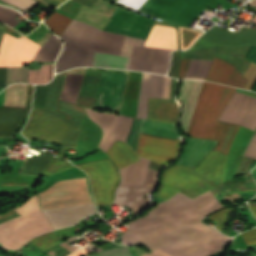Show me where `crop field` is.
I'll return each mask as SVG.
<instances>
[{"instance_id": "5142ce71", "label": "crop field", "mask_w": 256, "mask_h": 256, "mask_svg": "<svg viewBox=\"0 0 256 256\" xmlns=\"http://www.w3.org/2000/svg\"><path fill=\"white\" fill-rule=\"evenodd\" d=\"M66 72L56 75L54 80L48 85L44 108L80 127L85 115L84 108L59 100Z\"/></svg>"}, {"instance_id": "d32e631a", "label": "crop field", "mask_w": 256, "mask_h": 256, "mask_svg": "<svg viewBox=\"0 0 256 256\" xmlns=\"http://www.w3.org/2000/svg\"><path fill=\"white\" fill-rule=\"evenodd\" d=\"M62 48L61 40L52 34L50 39L40 49L34 61L53 62L56 61Z\"/></svg>"}, {"instance_id": "4a817a6b", "label": "crop field", "mask_w": 256, "mask_h": 256, "mask_svg": "<svg viewBox=\"0 0 256 256\" xmlns=\"http://www.w3.org/2000/svg\"><path fill=\"white\" fill-rule=\"evenodd\" d=\"M171 78L165 77L163 98L168 99ZM177 80L172 79L169 100L148 98L147 119L177 123L178 104L174 100Z\"/></svg>"}, {"instance_id": "120bbe31", "label": "crop field", "mask_w": 256, "mask_h": 256, "mask_svg": "<svg viewBox=\"0 0 256 256\" xmlns=\"http://www.w3.org/2000/svg\"><path fill=\"white\" fill-rule=\"evenodd\" d=\"M103 69L87 68L82 84V96L96 98Z\"/></svg>"}, {"instance_id": "92a150f3", "label": "crop field", "mask_w": 256, "mask_h": 256, "mask_svg": "<svg viewBox=\"0 0 256 256\" xmlns=\"http://www.w3.org/2000/svg\"><path fill=\"white\" fill-rule=\"evenodd\" d=\"M33 85H28L26 109L0 108V137L12 138L23 118L27 117L32 101Z\"/></svg>"}, {"instance_id": "78b8030e", "label": "crop field", "mask_w": 256, "mask_h": 256, "mask_svg": "<svg viewBox=\"0 0 256 256\" xmlns=\"http://www.w3.org/2000/svg\"><path fill=\"white\" fill-rule=\"evenodd\" d=\"M142 256H170V255L166 254L165 252H163V251H161L160 249L157 248L151 254H146V255H142Z\"/></svg>"}, {"instance_id": "0bd39190", "label": "crop field", "mask_w": 256, "mask_h": 256, "mask_svg": "<svg viewBox=\"0 0 256 256\" xmlns=\"http://www.w3.org/2000/svg\"><path fill=\"white\" fill-rule=\"evenodd\" d=\"M85 110H86L89 118L92 119L95 123H97L103 130V138L100 143V145H101L103 140L107 136L108 132L110 131L113 123L115 122L117 116L108 114V113L96 112V111H93L91 109H86V108H85ZM100 145H99V147H100Z\"/></svg>"}, {"instance_id": "c5b07064", "label": "crop field", "mask_w": 256, "mask_h": 256, "mask_svg": "<svg viewBox=\"0 0 256 256\" xmlns=\"http://www.w3.org/2000/svg\"><path fill=\"white\" fill-rule=\"evenodd\" d=\"M252 22L256 23V17H254V18L252 19Z\"/></svg>"}, {"instance_id": "028f5c9d", "label": "crop field", "mask_w": 256, "mask_h": 256, "mask_svg": "<svg viewBox=\"0 0 256 256\" xmlns=\"http://www.w3.org/2000/svg\"><path fill=\"white\" fill-rule=\"evenodd\" d=\"M83 75H67L64 83L61 100L71 103L77 102L78 92Z\"/></svg>"}, {"instance_id": "22f410ed", "label": "crop field", "mask_w": 256, "mask_h": 256, "mask_svg": "<svg viewBox=\"0 0 256 256\" xmlns=\"http://www.w3.org/2000/svg\"><path fill=\"white\" fill-rule=\"evenodd\" d=\"M154 23L155 20L117 6L105 30L146 39Z\"/></svg>"}, {"instance_id": "28ad6ade", "label": "crop field", "mask_w": 256, "mask_h": 256, "mask_svg": "<svg viewBox=\"0 0 256 256\" xmlns=\"http://www.w3.org/2000/svg\"><path fill=\"white\" fill-rule=\"evenodd\" d=\"M39 200L41 209L92 203L86 183L52 187Z\"/></svg>"}, {"instance_id": "7b73153f", "label": "crop field", "mask_w": 256, "mask_h": 256, "mask_svg": "<svg viewBox=\"0 0 256 256\" xmlns=\"http://www.w3.org/2000/svg\"><path fill=\"white\" fill-rule=\"evenodd\" d=\"M6 83V67L0 68V88H5Z\"/></svg>"}, {"instance_id": "cbeb9de0", "label": "crop field", "mask_w": 256, "mask_h": 256, "mask_svg": "<svg viewBox=\"0 0 256 256\" xmlns=\"http://www.w3.org/2000/svg\"><path fill=\"white\" fill-rule=\"evenodd\" d=\"M128 72L104 69L95 106L119 110Z\"/></svg>"}, {"instance_id": "d3111659", "label": "crop field", "mask_w": 256, "mask_h": 256, "mask_svg": "<svg viewBox=\"0 0 256 256\" xmlns=\"http://www.w3.org/2000/svg\"><path fill=\"white\" fill-rule=\"evenodd\" d=\"M132 120L133 118L119 115L101 148L107 152L116 139L125 142L131 128Z\"/></svg>"}, {"instance_id": "db79e9e6", "label": "crop field", "mask_w": 256, "mask_h": 256, "mask_svg": "<svg viewBox=\"0 0 256 256\" xmlns=\"http://www.w3.org/2000/svg\"><path fill=\"white\" fill-rule=\"evenodd\" d=\"M95 100L94 98H88V97H79L78 104L88 106V107H94Z\"/></svg>"}, {"instance_id": "1f2cbd36", "label": "crop field", "mask_w": 256, "mask_h": 256, "mask_svg": "<svg viewBox=\"0 0 256 256\" xmlns=\"http://www.w3.org/2000/svg\"><path fill=\"white\" fill-rule=\"evenodd\" d=\"M92 256H131V254L128 248L121 247L110 249L108 251L98 253Z\"/></svg>"}, {"instance_id": "34b2d1b8", "label": "crop field", "mask_w": 256, "mask_h": 256, "mask_svg": "<svg viewBox=\"0 0 256 256\" xmlns=\"http://www.w3.org/2000/svg\"><path fill=\"white\" fill-rule=\"evenodd\" d=\"M234 91L235 88L204 81L187 135L219 140L215 150L227 154L239 126L216 120Z\"/></svg>"}, {"instance_id": "5a996713", "label": "crop field", "mask_w": 256, "mask_h": 256, "mask_svg": "<svg viewBox=\"0 0 256 256\" xmlns=\"http://www.w3.org/2000/svg\"><path fill=\"white\" fill-rule=\"evenodd\" d=\"M77 166L88 174L96 204L110 205L113 200V190L119 179L114 164L106 159L77 164Z\"/></svg>"}, {"instance_id": "0f1d7ab4", "label": "crop field", "mask_w": 256, "mask_h": 256, "mask_svg": "<svg viewBox=\"0 0 256 256\" xmlns=\"http://www.w3.org/2000/svg\"><path fill=\"white\" fill-rule=\"evenodd\" d=\"M86 6L93 8L97 0H74Z\"/></svg>"}, {"instance_id": "5d738f31", "label": "crop field", "mask_w": 256, "mask_h": 256, "mask_svg": "<svg viewBox=\"0 0 256 256\" xmlns=\"http://www.w3.org/2000/svg\"><path fill=\"white\" fill-rule=\"evenodd\" d=\"M30 242H32L44 251L54 247L56 244L59 243L53 232L34 238Z\"/></svg>"}, {"instance_id": "73cf0c24", "label": "crop field", "mask_w": 256, "mask_h": 256, "mask_svg": "<svg viewBox=\"0 0 256 256\" xmlns=\"http://www.w3.org/2000/svg\"><path fill=\"white\" fill-rule=\"evenodd\" d=\"M144 42L143 39H137L132 37H125L122 50H121V56H129L131 55L133 44L142 45Z\"/></svg>"}, {"instance_id": "f4fd0767", "label": "crop field", "mask_w": 256, "mask_h": 256, "mask_svg": "<svg viewBox=\"0 0 256 256\" xmlns=\"http://www.w3.org/2000/svg\"><path fill=\"white\" fill-rule=\"evenodd\" d=\"M100 33L101 30L73 19L60 36L65 46L57 61L56 72L77 66H91Z\"/></svg>"}, {"instance_id": "00972430", "label": "crop field", "mask_w": 256, "mask_h": 256, "mask_svg": "<svg viewBox=\"0 0 256 256\" xmlns=\"http://www.w3.org/2000/svg\"><path fill=\"white\" fill-rule=\"evenodd\" d=\"M202 82L203 81L182 80L179 98L184 103V109L180 118V129L185 135L188 131Z\"/></svg>"}, {"instance_id": "4177f3b9", "label": "crop field", "mask_w": 256, "mask_h": 256, "mask_svg": "<svg viewBox=\"0 0 256 256\" xmlns=\"http://www.w3.org/2000/svg\"><path fill=\"white\" fill-rule=\"evenodd\" d=\"M205 80L228 84L240 88H243L248 81L231 65L216 58L214 59Z\"/></svg>"}, {"instance_id": "c39391a2", "label": "crop field", "mask_w": 256, "mask_h": 256, "mask_svg": "<svg viewBox=\"0 0 256 256\" xmlns=\"http://www.w3.org/2000/svg\"><path fill=\"white\" fill-rule=\"evenodd\" d=\"M248 4H250V5H252L253 7H255V8H256V0L251 1V2H250V3H248Z\"/></svg>"}, {"instance_id": "5866460e", "label": "crop field", "mask_w": 256, "mask_h": 256, "mask_svg": "<svg viewBox=\"0 0 256 256\" xmlns=\"http://www.w3.org/2000/svg\"><path fill=\"white\" fill-rule=\"evenodd\" d=\"M129 60L128 57L96 52L93 66L128 69Z\"/></svg>"}, {"instance_id": "1d83c4d3", "label": "crop field", "mask_w": 256, "mask_h": 256, "mask_svg": "<svg viewBox=\"0 0 256 256\" xmlns=\"http://www.w3.org/2000/svg\"><path fill=\"white\" fill-rule=\"evenodd\" d=\"M124 37L123 35L103 31L95 51L119 55Z\"/></svg>"}, {"instance_id": "c3a83c6f", "label": "crop field", "mask_w": 256, "mask_h": 256, "mask_svg": "<svg viewBox=\"0 0 256 256\" xmlns=\"http://www.w3.org/2000/svg\"><path fill=\"white\" fill-rule=\"evenodd\" d=\"M58 1L62 3V2L65 1V0H58Z\"/></svg>"}, {"instance_id": "d1516ede", "label": "crop field", "mask_w": 256, "mask_h": 256, "mask_svg": "<svg viewBox=\"0 0 256 256\" xmlns=\"http://www.w3.org/2000/svg\"><path fill=\"white\" fill-rule=\"evenodd\" d=\"M218 120L255 131L256 98L234 92Z\"/></svg>"}, {"instance_id": "a9b5d70f", "label": "crop field", "mask_w": 256, "mask_h": 256, "mask_svg": "<svg viewBox=\"0 0 256 256\" xmlns=\"http://www.w3.org/2000/svg\"><path fill=\"white\" fill-rule=\"evenodd\" d=\"M102 136V131L94 122L85 116L80 127L79 138L76 145L75 159L98 150L97 145Z\"/></svg>"}, {"instance_id": "dbb93151", "label": "crop field", "mask_w": 256, "mask_h": 256, "mask_svg": "<svg viewBox=\"0 0 256 256\" xmlns=\"http://www.w3.org/2000/svg\"><path fill=\"white\" fill-rule=\"evenodd\" d=\"M22 10H30L35 4H37L38 2H36L35 0H4Z\"/></svg>"}, {"instance_id": "d9b57169", "label": "crop field", "mask_w": 256, "mask_h": 256, "mask_svg": "<svg viewBox=\"0 0 256 256\" xmlns=\"http://www.w3.org/2000/svg\"><path fill=\"white\" fill-rule=\"evenodd\" d=\"M171 51L134 45L129 69L166 74Z\"/></svg>"}, {"instance_id": "1d79db26", "label": "crop field", "mask_w": 256, "mask_h": 256, "mask_svg": "<svg viewBox=\"0 0 256 256\" xmlns=\"http://www.w3.org/2000/svg\"><path fill=\"white\" fill-rule=\"evenodd\" d=\"M180 58V52L179 51H174L173 56H172V62H171V68L169 72V76L178 78L176 75L177 67H178V62Z\"/></svg>"}, {"instance_id": "03da06ac", "label": "crop field", "mask_w": 256, "mask_h": 256, "mask_svg": "<svg viewBox=\"0 0 256 256\" xmlns=\"http://www.w3.org/2000/svg\"><path fill=\"white\" fill-rule=\"evenodd\" d=\"M71 20L72 18H69L67 16H64L55 12L50 17H48L45 20V22L48 24V26L51 28L53 32H55L60 36L61 33L64 31V29L71 22Z\"/></svg>"}, {"instance_id": "fb207236", "label": "crop field", "mask_w": 256, "mask_h": 256, "mask_svg": "<svg viewBox=\"0 0 256 256\" xmlns=\"http://www.w3.org/2000/svg\"><path fill=\"white\" fill-rule=\"evenodd\" d=\"M114 1H116V0H114Z\"/></svg>"}, {"instance_id": "c21b1889", "label": "crop field", "mask_w": 256, "mask_h": 256, "mask_svg": "<svg viewBox=\"0 0 256 256\" xmlns=\"http://www.w3.org/2000/svg\"><path fill=\"white\" fill-rule=\"evenodd\" d=\"M29 67H7V83H27L28 80Z\"/></svg>"}, {"instance_id": "733c2abd", "label": "crop field", "mask_w": 256, "mask_h": 256, "mask_svg": "<svg viewBox=\"0 0 256 256\" xmlns=\"http://www.w3.org/2000/svg\"><path fill=\"white\" fill-rule=\"evenodd\" d=\"M216 44L224 46L256 45V29L242 27L238 33H232L215 25L204 33L192 48Z\"/></svg>"}, {"instance_id": "447ae74e", "label": "crop field", "mask_w": 256, "mask_h": 256, "mask_svg": "<svg viewBox=\"0 0 256 256\" xmlns=\"http://www.w3.org/2000/svg\"><path fill=\"white\" fill-rule=\"evenodd\" d=\"M246 245L256 243V229L242 233Z\"/></svg>"}, {"instance_id": "dafd665d", "label": "crop field", "mask_w": 256, "mask_h": 256, "mask_svg": "<svg viewBox=\"0 0 256 256\" xmlns=\"http://www.w3.org/2000/svg\"><path fill=\"white\" fill-rule=\"evenodd\" d=\"M187 140L178 164L195 169L198 164L208 155L217 141L181 137Z\"/></svg>"}, {"instance_id": "ac0d7876", "label": "crop field", "mask_w": 256, "mask_h": 256, "mask_svg": "<svg viewBox=\"0 0 256 256\" xmlns=\"http://www.w3.org/2000/svg\"><path fill=\"white\" fill-rule=\"evenodd\" d=\"M226 157L211 151L195 170L178 164L170 167L163 173L156 196L167 200L180 191L193 199L209 190L213 195L256 190L255 181L222 184Z\"/></svg>"}, {"instance_id": "b54c1fbb", "label": "crop field", "mask_w": 256, "mask_h": 256, "mask_svg": "<svg viewBox=\"0 0 256 256\" xmlns=\"http://www.w3.org/2000/svg\"><path fill=\"white\" fill-rule=\"evenodd\" d=\"M164 76L151 74L148 97L162 98Z\"/></svg>"}, {"instance_id": "730fd06b", "label": "crop field", "mask_w": 256, "mask_h": 256, "mask_svg": "<svg viewBox=\"0 0 256 256\" xmlns=\"http://www.w3.org/2000/svg\"><path fill=\"white\" fill-rule=\"evenodd\" d=\"M141 75L140 72H129L119 114L135 117Z\"/></svg>"}, {"instance_id": "412701ff", "label": "crop field", "mask_w": 256, "mask_h": 256, "mask_svg": "<svg viewBox=\"0 0 256 256\" xmlns=\"http://www.w3.org/2000/svg\"><path fill=\"white\" fill-rule=\"evenodd\" d=\"M15 211L22 216L0 224V243L3 248L17 250L33 237L53 230L39 209L37 196Z\"/></svg>"}, {"instance_id": "d14b1444", "label": "crop field", "mask_w": 256, "mask_h": 256, "mask_svg": "<svg viewBox=\"0 0 256 256\" xmlns=\"http://www.w3.org/2000/svg\"><path fill=\"white\" fill-rule=\"evenodd\" d=\"M252 204H253V205H256V203H252ZM252 204L249 203V206H250L251 210L253 211V213H254V215H255V217H256V213H255V211H254V210H256V206H252Z\"/></svg>"}, {"instance_id": "9d1cf04e", "label": "crop field", "mask_w": 256, "mask_h": 256, "mask_svg": "<svg viewBox=\"0 0 256 256\" xmlns=\"http://www.w3.org/2000/svg\"><path fill=\"white\" fill-rule=\"evenodd\" d=\"M244 155L256 159V134L253 135Z\"/></svg>"}, {"instance_id": "3316defc", "label": "crop field", "mask_w": 256, "mask_h": 256, "mask_svg": "<svg viewBox=\"0 0 256 256\" xmlns=\"http://www.w3.org/2000/svg\"><path fill=\"white\" fill-rule=\"evenodd\" d=\"M41 47L6 27L0 46V66H19L29 64Z\"/></svg>"}, {"instance_id": "bd1437ed", "label": "crop field", "mask_w": 256, "mask_h": 256, "mask_svg": "<svg viewBox=\"0 0 256 256\" xmlns=\"http://www.w3.org/2000/svg\"><path fill=\"white\" fill-rule=\"evenodd\" d=\"M189 59L180 60L179 77L184 78L190 64ZM212 61L192 60L185 78L204 79Z\"/></svg>"}, {"instance_id": "eef30255", "label": "crop field", "mask_w": 256, "mask_h": 256, "mask_svg": "<svg viewBox=\"0 0 256 256\" xmlns=\"http://www.w3.org/2000/svg\"><path fill=\"white\" fill-rule=\"evenodd\" d=\"M144 46L177 49L176 29L154 25Z\"/></svg>"}, {"instance_id": "425ffa30", "label": "crop field", "mask_w": 256, "mask_h": 256, "mask_svg": "<svg viewBox=\"0 0 256 256\" xmlns=\"http://www.w3.org/2000/svg\"><path fill=\"white\" fill-rule=\"evenodd\" d=\"M72 167L70 164H68L67 162L59 159V158H55L52 160L51 164L47 167L44 175L46 176H50L53 175L57 172H60L62 170H65L67 168Z\"/></svg>"}, {"instance_id": "e52e79f7", "label": "crop field", "mask_w": 256, "mask_h": 256, "mask_svg": "<svg viewBox=\"0 0 256 256\" xmlns=\"http://www.w3.org/2000/svg\"><path fill=\"white\" fill-rule=\"evenodd\" d=\"M180 147V141L139 135L137 154L124 142L116 140L107 152L118 168L139 160L138 156L152 160L162 166L170 163L175 158Z\"/></svg>"}, {"instance_id": "d23c7cc5", "label": "crop field", "mask_w": 256, "mask_h": 256, "mask_svg": "<svg viewBox=\"0 0 256 256\" xmlns=\"http://www.w3.org/2000/svg\"><path fill=\"white\" fill-rule=\"evenodd\" d=\"M19 14L15 10L0 6V21L6 23L11 27H15L19 21L15 20V16Z\"/></svg>"}, {"instance_id": "dd49c442", "label": "crop field", "mask_w": 256, "mask_h": 256, "mask_svg": "<svg viewBox=\"0 0 256 256\" xmlns=\"http://www.w3.org/2000/svg\"><path fill=\"white\" fill-rule=\"evenodd\" d=\"M78 131L79 128L64 118L34 107L22 134L28 140L38 139L62 144L57 154L62 157L66 148L75 149Z\"/></svg>"}, {"instance_id": "ae1a2a85", "label": "crop field", "mask_w": 256, "mask_h": 256, "mask_svg": "<svg viewBox=\"0 0 256 256\" xmlns=\"http://www.w3.org/2000/svg\"><path fill=\"white\" fill-rule=\"evenodd\" d=\"M140 161L124 167L119 171L122 186H142L150 161L140 157Z\"/></svg>"}, {"instance_id": "ae633e8c", "label": "crop field", "mask_w": 256, "mask_h": 256, "mask_svg": "<svg viewBox=\"0 0 256 256\" xmlns=\"http://www.w3.org/2000/svg\"><path fill=\"white\" fill-rule=\"evenodd\" d=\"M149 168H153V169H157V170H159V169H161V168H162V166L157 165V164H155V163L151 162V164H150Z\"/></svg>"}, {"instance_id": "8a807250", "label": "crop field", "mask_w": 256, "mask_h": 256, "mask_svg": "<svg viewBox=\"0 0 256 256\" xmlns=\"http://www.w3.org/2000/svg\"><path fill=\"white\" fill-rule=\"evenodd\" d=\"M221 208L210 191L193 200L178 192L126 223L130 229L122 234V244L145 243L152 250L158 247L172 256H208L233 239L200 222Z\"/></svg>"}, {"instance_id": "e1d0b9f6", "label": "crop field", "mask_w": 256, "mask_h": 256, "mask_svg": "<svg viewBox=\"0 0 256 256\" xmlns=\"http://www.w3.org/2000/svg\"><path fill=\"white\" fill-rule=\"evenodd\" d=\"M85 250L84 249H80V250H77L75 253L71 254L70 256H81L83 254H85Z\"/></svg>"}, {"instance_id": "750c4746", "label": "crop field", "mask_w": 256, "mask_h": 256, "mask_svg": "<svg viewBox=\"0 0 256 256\" xmlns=\"http://www.w3.org/2000/svg\"><path fill=\"white\" fill-rule=\"evenodd\" d=\"M140 133L180 140L177 132V127L173 124L143 119Z\"/></svg>"}, {"instance_id": "ade564c9", "label": "crop field", "mask_w": 256, "mask_h": 256, "mask_svg": "<svg viewBox=\"0 0 256 256\" xmlns=\"http://www.w3.org/2000/svg\"><path fill=\"white\" fill-rule=\"evenodd\" d=\"M12 212H15V211H12ZM12 212H9V213H6V214H3V215H0V217L5 216V215H7V214H10V213H12Z\"/></svg>"}, {"instance_id": "0765c3eb", "label": "crop field", "mask_w": 256, "mask_h": 256, "mask_svg": "<svg viewBox=\"0 0 256 256\" xmlns=\"http://www.w3.org/2000/svg\"><path fill=\"white\" fill-rule=\"evenodd\" d=\"M145 0H118V2L137 10Z\"/></svg>"}, {"instance_id": "214f88e0", "label": "crop field", "mask_w": 256, "mask_h": 256, "mask_svg": "<svg viewBox=\"0 0 256 256\" xmlns=\"http://www.w3.org/2000/svg\"><path fill=\"white\" fill-rule=\"evenodd\" d=\"M54 229L76 224L83 216L93 214V204L43 210Z\"/></svg>"}, {"instance_id": "e1f06a70", "label": "crop field", "mask_w": 256, "mask_h": 256, "mask_svg": "<svg viewBox=\"0 0 256 256\" xmlns=\"http://www.w3.org/2000/svg\"><path fill=\"white\" fill-rule=\"evenodd\" d=\"M53 158L46 154H39L36 157L27 158L23 174L41 176L44 168Z\"/></svg>"}, {"instance_id": "c035e120", "label": "crop field", "mask_w": 256, "mask_h": 256, "mask_svg": "<svg viewBox=\"0 0 256 256\" xmlns=\"http://www.w3.org/2000/svg\"><path fill=\"white\" fill-rule=\"evenodd\" d=\"M53 66L52 65H42V67L37 70H30V77L28 83L33 84H43L48 83L53 76Z\"/></svg>"}, {"instance_id": "b80d0937", "label": "crop field", "mask_w": 256, "mask_h": 256, "mask_svg": "<svg viewBox=\"0 0 256 256\" xmlns=\"http://www.w3.org/2000/svg\"><path fill=\"white\" fill-rule=\"evenodd\" d=\"M150 74L143 73L136 117L146 119L147 93Z\"/></svg>"}, {"instance_id": "d8731c3e", "label": "crop field", "mask_w": 256, "mask_h": 256, "mask_svg": "<svg viewBox=\"0 0 256 256\" xmlns=\"http://www.w3.org/2000/svg\"><path fill=\"white\" fill-rule=\"evenodd\" d=\"M213 0H147L139 11L177 26L189 27Z\"/></svg>"}, {"instance_id": "0fb4a251", "label": "crop field", "mask_w": 256, "mask_h": 256, "mask_svg": "<svg viewBox=\"0 0 256 256\" xmlns=\"http://www.w3.org/2000/svg\"><path fill=\"white\" fill-rule=\"evenodd\" d=\"M232 209H233V208L223 209V210H221V211H219V212H217V213H215V214L209 216L208 218H210V219H212V220L218 222V223H217V226H216L215 228H217L218 230H221V228H222V223H223L225 217L227 216V214H228L230 211H232ZM223 224H224V223H223Z\"/></svg>"}, {"instance_id": "bc2a9ffb", "label": "crop field", "mask_w": 256, "mask_h": 256, "mask_svg": "<svg viewBox=\"0 0 256 256\" xmlns=\"http://www.w3.org/2000/svg\"><path fill=\"white\" fill-rule=\"evenodd\" d=\"M158 171L149 169L143 187H118L113 204H127L136 214L149 206V200H143V194H148L156 185Z\"/></svg>"}, {"instance_id": "25e5ab78", "label": "crop field", "mask_w": 256, "mask_h": 256, "mask_svg": "<svg viewBox=\"0 0 256 256\" xmlns=\"http://www.w3.org/2000/svg\"><path fill=\"white\" fill-rule=\"evenodd\" d=\"M182 49H188V47L194 42V40L201 35V33L191 30H180Z\"/></svg>"}, {"instance_id": "89e229c0", "label": "crop field", "mask_w": 256, "mask_h": 256, "mask_svg": "<svg viewBox=\"0 0 256 256\" xmlns=\"http://www.w3.org/2000/svg\"><path fill=\"white\" fill-rule=\"evenodd\" d=\"M46 87H47V85H43V86H37L36 85L33 106L43 108L45 93H46Z\"/></svg>"}]
</instances>
